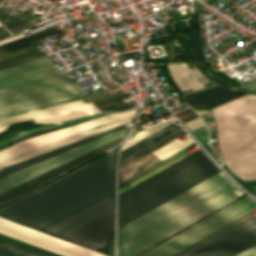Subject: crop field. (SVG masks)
<instances>
[{
	"mask_svg": "<svg viewBox=\"0 0 256 256\" xmlns=\"http://www.w3.org/2000/svg\"><path fill=\"white\" fill-rule=\"evenodd\" d=\"M115 154L0 208V215L43 231L115 194Z\"/></svg>",
	"mask_w": 256,
	"mask_h": 256,
	"instance_id": "crop-field-1",
	"label": "crop field"
},
{
	"mask_svg": "<svg viewBox=\"0 0 256 256\" xmlns=\"http://www.w3.org/2000/svg\"><path fill=\"white\" fill-rule=\"evenodd\" d=\"M243 195L220 172L118 229V256H136Z\"/></svg>",
	"mask_w": 256,
	"mask_h": 256,
	"instance_id": "crop-field-2",
	"label": "crop field"
},
{
	"mask_svg": "<svg viewBox=\"0 0 256 256\" xmlns=\"http://www.w3.org/2000/svg\"><path fill=\"white\" fill-rule=\"evenodd\" d=\"M220 172L199 149L119 194L118 228Z\"/></svg>",
	"mask_w": 256,
	"mask_h": 256,
	"instance_id": "crop-field-3",
	"label": "crop field"
},
{
	"mask_svg": "<svg viewBox=\"0 0 256 256\" xmlns=\"http://www.w3.org/2000/svg\"><path fill=\"white\" fill-rule=\"evenodd\" d=\"M83 95L45 56L0 71V115Z\"/></svg>",
	"mask_w": 256,
	"mask_h": 256,
	"instance_id": "crop-field-4",
	"label": "crop field"
},
{
	"mask_svg": "<svg viewBox=\"0 0 256 256\" xmlns=\"http://www.w3.org/2000/svg\"><path fill=\"white\" fill-rule=\"evenodd\" d=\"M211 112L225 164L241 179H255L256 96L241 97Z\"/></svg>",
	"mask_w": 256,
	"mask_h": 256,
	"instance_id": "crop-field-5",
	"label": "crop field"
},
{
	"mask_svg": "<svg viewBox=\"0 0 256 256\" xmlns=\"http://www.w3.org/2000/svg\"><path fill=\"white\" fill-rule=\"evenodd\" d=\"M255 208L246 196L140 256H170Z\"/></svg>",
	"mask_w": 256,
	"mask_h": 256,
	"instance_id": "crop-field-6",
	"label": "crop field"
},
{
	"mask_svg": "<svg viewBox=\"0 0 256 256\" xmlns=\"http://www.w3.org/2000/svg\"><path fill=\"white\" fill-rule=\"evenodd\" d=\"M0 233L63 256H104L0 218Z\"/></svg>",
	"mask_w": 256,
	"mask_h": 256,
	"instance_id": "crop-field-7",
	"label": "crop field"
},
{
	"mask_svg": "<svg viewBox=\"0 0 256 256\" xmlns=\"http://www.w3.org/2000/svg\"><path fill=\"white\" fill-rule=\"evenodd\" d=\"M135 111L136 109L122 113H114L94 120H89L82 124L70 126L64 129H60L48 134H44L32 139L19 142L12 147L0 150V161L18 155L20 153L32 150L34 148L49 144L51 142L63 139L65 137L77 134L82 131L132 117Z\"/></svg>",
	"mask_w": 256,
	"mask_h": 256,
	"instance_id": "crop-field-8",
	"label": "crop field"
},
{
	"mask_svg": "<svg viewBox=\"0 0 256 256\" xmlns=\"http://www.w3.org/2000/svg\"><path fill=\"white\" fill-rule=\"evenodd\" d=\"M126 130L127 129L122 130L117 133H114L112 135H109V136L99 139L97 141L91 142V143L81 146L79 148L73 149L71 151L63 153L56 157L50 158L48 160H45L43 162H40L33 166H30V167L23 169L21 171H18L16 173H12V174L8 175L7 177L3 178L2 180H0V193L6 191L16 185H19V184L39 175L47 170H50L66 161H69L81 154H84V153H86L94 148H97L109 141H112V140L122 136Z\"/></svg>",
	"mask_w": 256,
	"mask_h": 256,
	"instance_id": "crop-field-9",
	"label": "crop field"
},
{
	"mask_svg": "<svg viewBox=\"0 0 256 256\" xmlns=\"http://www.w3.org/2000/svg\"><path fill=\"white\" fill-rule=\"evenodd\" d=\"M256 243V218L188 256H234Z\"/></svg>",
	"mask_w": 256,
	"mask_h": 256,
	"instance_id": "crop-field-10",
	"label": "crop field"
},
{
	"mask_svg": "<svg viewBox=\"0 0 256 256\" xmlns=\"http://www.w3.org/2000/svg\"><path fill=\"white\" fill-rule=\"evenodd\" d=\"M115 209L61 236L72 243L96 250L114 241Z\"/></svg>",
	"mask_w": 256,
	"mask_h": 256,
	"instance_id": "crop-field-11",
	"label": "crop field"
},
{
	"mask_svg": "<svg viewBox=\"0 0 256 256\" xmlns=\"http://www.w3.org/2000/svg\"><path fill=\"white\" fill-rule=\"evenodd\" d=\"M183 134L185 133L180 128L172 132L171 134L163 137L162 139L154 142L153 144L147 146L146 148L138 151L137 153L129 156L128 158L120 161L118 184L124 182L132 176L161 161L151 152Z\"/></svg>",
	"mask_w": 256,
	"mask_h": 256,
	"instance_id": "crop-field-12",
	"label": "crop field"
},
{
	"mask_svg": "<svg viewBox=\"0 0 256 256\" xmlns=\"http://www.w3.org/2000/svg\"><path fill=\"white\" fill-rule=\"evenodd\" d=\"M121 138L122 137L0 194V203L20 196V195L32 190L33 188L39 186L40 184L44 183L45 181L57 176L58 174L68 170L69 168L77 165L78 163L118 144V142L120 141Z\"/></svg>",
	"mask_w": 256,
	"mask_h": 256,
	"instance_id": "crop-field-13",
	"label": "crop field"
},
{
	"mask_svg": "<svg viewBox=\"0 0 256 256\" xmlns=\"http://www.w3.org/2000/svg\"><path fill=\"white\" fill-rule=\"evenodd\" d=\"M113 208H115V195L91 206L90 208L43 232L59 237Z\"/></svg>",
	"mask_w": 256,
	"mask_h": 256,
	"instance_id": "crop-field-14",
	"label": "crop field"
},
{
	"mask_svg": "<svg viewBox=\"0 0 256 256\" xmlns=\"http://www.w3.org/2000/svg\"><path fill=\"white\" fill-rule=\"evenodd\" d=\"M122 129H125L124 125L118 126V127H116V128L107 130V131H105V132H102V133L93 135V136H91V137L82 139V140H80V141L71 143V144H69V145H66V146L57 148V149H55V150L46 152V153H44V154L35 156V157H33V158H30V159H27V160H24V161H21V162H19V163L10 165V166H8V167H5V168H3V169L0 170V179H2L3 177L7 176L8 174H10V173H12V172H14V171H17V170H19V169L25 168V167H27V166H30V165L35 164V163H37V162L43 161V160L48 159V158H50V157H53V156H55V155L61 154V153H63V152H66V151L71 150V149H73V148H76V147H78V146L84 145V144L89 143V142H91V141H94V140H96V139H99V138H102V137L107 136V135H109V134H112V133H114V132L120 131V130H122Z\"/></svg>",
	"mask_w": 256,
	"mask_h": 256,
	"instance_id": "crop-field-15",
	"label": "crop field"
},
{
	"mask_svg": "<svg viewBox=\"0 0 256 256\" xmlns=\"http://www.w3.org/2000/svg\"><path fill=\"white\" fill-rule=\"evenodd\" d=\"M97 112H99V111L94 106V104L89 102L86 104H82V105H78V106H74V107H70V108H66V109H62V110H57V111H53V112H49V113H45V114H41V115H36V116L12 121L6 125L1 126L0 132L5 130L9 125H11L13 123L32 119V118H34L36 123H51V122H56V121L65 120V119H69V118L93 114V113H97Z\"/></svg>",
	"mask_w": 256,
	"mask_h": 256,
	"instance_id": "crop-field-16",
	"label": "crop field"
},
{
	"mask_svg": "<svg viewBox=\"0 0 256 256\" xmlns=\"http://www.w3.org/2000/svg\"><path fill=\"white\" fill-rule=\"evenodd\" d=\"M168 66L172 78L182 91L206 88L204 85L209 83L197 68H194L195 71L192 72L193 69L188 70L187 64H168Z\"/></svg>",
	"mask_w": 256,
	"mask_h": 256,
	"instance_id": "crop-field-17",
	"label": "crop field"
},
{
	"mask_svg": "<svg viewBox=\"0 0 256 256\" xmlns=\"http://www.w3.org/2000/svg\"><path fill=\"white\" fill-rule=\"evenodd\" d=\"M131 119H132V118H129V119L122 120V121H119V122H116V123H112V124H109V125H106V126H102V127L96 128V129H92V130H90V131H87V132H84V133L75 135V136H73V137H70V138H67V139H64V140H61V141L52 143V144H50V145H47V146H44V147H41V148L32 150V151H30V152H27V153H24V154H21V155H18V156L9 158V159H7V160L1 161V162H0V169L3 168V167H5V166H8V165H10V164L19 162V161L24 160V159H27V158H30V157H32V156H35V155L44 153V152H46V151L55 149V148H57V147L66 145V144H68V143H71V142L77 141V140H79V139L88 137V136H90V135H93V134L102 132V131H104V130L113 128V127H115V126L124 124V123H126V122L131 121Z\"/></svg>",
	"mask_w": 256,
	"mask_h": 256,
	"instance_id": "crop-field-18",
	"label": "crop field"
},
{
	"mask_svg": "<svg viewBox=\"0 0 256 256\" xmlns=\"http://www.w3.org/2000/svg\"><path fill=\"white\" fill-rule=\"evenodd\" d=\"M234 97H236L234 91L216 87L188 96H184V99L192 104L205 107V105H218Z\"/></svg>",
	"mask_w": 256,
	"mask_h": 256,
	"instance_id": "crop-field-19",
	"label": "crop field"
},
{
	"mask_svg": "<svg viewBox=\"0 0 256 256\" xmlns=\"http://www.w3.org/2000/svg\"><path fill=\"white\" fill-rule=\"evenodd\" d=\"M254 217H256V215L250 212V213L244 215L243 217H241V218L235 220L234 222H232V223L226 225L225 227H223V228L217 230L216 232H214V233L208 235L207 237L201 239L200 241H198V242L192 244L191 246H189V247L183 249L182 251H180V252L174 254L173 256H186V255H188L189 253H191V252L197 250L198 248H200V247L206 245L207 243H209V242L215 240L216 238H218V237L224 235L225 233L231 231L232 229H234V228L240 226L241 224H243V223L249 221L250 219H252V218H254Z\"/></svg>",
	"mask_w": 256,
	"mask_h": 256,
	"instance_id": "crop-field-20",
	"label": "crop field"
},
{
	"mask_svg": "<svg viewBox=\"0 0 256 256\" xmlns=\"http://www.w3.org/2000/svg\"><path fill=\"white\" fill-rule=\"evenodd\" d=\"M55 32H57V30L52 29L50 27L46 30L32 34L30 36L23 37V38L14 40L12 42L0 45V55H4V54L10 53V52L31 46L32 44L30 41L41 38L43 36H46V35H49L52 33H55Z\"/></svg>",
	"mask_w": 256,
	"mask_h": 256,
	"instance_id": "crop-field-21",
	"label": "crop field"
},
{
	"mask_svg": "<svg viewBox=\"0 0 256 256\" xmlns=\"http://www.w3.org/2000/svg\"><path fill=\"white\" fill-rule=\"evenodd\" d=\"M0 243H3L8 246L20 249L22 251L34 254L36 256H60L58 254L46 251L44 249L35 247L33 245L21 242L19 240L10 238V237L2 235V234H0Z\"/></svg>",
	"mask_w": 256,
	"mask_h": 256,
	"instance_id": "crop-field-22",
	"label": "crop field"
},
{
	"mask_svg": "<svg viewBox=\"0 0 256 256\" xmlns=\"http://www.w3.org/2000/svg\"><path fill=\"white\" fill-rule=\"evenodd\" d=\"M192 143L194 142L188 136L182 142L177 139L152 153L162 160Z\"/></svg>",
	"mask_w": 256,
	"mask_h": 256,
	"instance_id": "crop-field-23",
	"label": "crop field"
},
{
	"mask_svg": "<svg viewBox=\"0 0 256 256\" xmlns=\"http://www.w3.org/2000/svg\"><path fill=\"white\" fill-rule=\"evenodd\" d=\"M172 120H174V119H171V120L166 121V122H164V123H161V124L152 126V127H150V128L144 129V130H142V131H140V132L138 131V132L128 141V139H129V138L132 136V134L136 131V129L133 128L132 131L130 132L129 136H128L127 139H126V141H125V143H124V145H123V147H122V150L125 149V148H127V147H129L130 145H132V144L138 142L139 140L145 138L146 136H148V135L154 133L155 131H157V130L163 128L164 126H166V125L172 123Z\"/></svg>",
	"mask_w": 256,
	"mask_h": 256,
	"instance_id": "crop-field-24",
	"label": "crop field"
},
{
	"mask_svg": "<svg viewBox=\"0 0 256 256\" xmlns=\"http://www.w3.org/2000/svg\"><path fill=\"white\" fill-rule=\"evenodd\" d=\"M102 114H106V113H99V114H95V115H91V116H87V117H82V118H78V119H74V120H70V121L61 122L62 124H60V125L50 124V125H45V126L37 127V128L31 129V130H26V131H23V132L17 134L16 136H14L12 138H8V139H5V140L1 141L0 145L4 144V143H7V142H10V141H13L15 139H18L20 137H23V136H25V135H27L29 133L34 132V131L48 129V128H54V127H59V126H63V125H67V124H71V123H75V122H79V121L85 120L87 118L99 116V115H102Z\"/></svg>",
	"mask_w": 256,
	"mask_h": 256,
	"instance_id": "crop-field-25",
	"label": "crop field"
},
{
	"mask_svg": "<svg viewBox=\"0 0 256 256\" xmlns=\"http://www.w3.org/2000/svg\"><path fill=\"white\" fill-rule=\"evenodd\" d=\"M186 155H188V153H187V152H185V153H183V154L179 155L178 157H176V158H174V159L170 160L169 162H167V163H165V164L161 165L160 167H158V168L154 169L153 171H151V172H149V173L145 174L144 176H142V177L138 178L137 180L133 181L132 183H130V184L126 185L125 187H123V188L119 189V193H121V192L125 191L126 189H128V188L132 187L133 185H135V184H137V183L141 182L142 180H144V179L148 178L149 176H151V175L155 174L156 172H158V171L162 170L163 168H165V167L169 166L170 164H172V163L176 162L177 160H179V159H181V158L185 157Z\"/></svg>",
	"mask_w": 256,
	"mask_h": 256,
	"instance_id": "crop-field-26",
	"label": "crop field"
},
{
	"mask_svg": "<svg viewBox=\"0 0 256 256\" xmlns=\"http://www.w3.org/2000/svg\"><path fill=\"white\" fill-rule=\"evenodd\" d=\"M82 103H83V101L80 100V101H76V102H72V103H68V104H64V105H60V106H56V107H52V108H48V109H44V110H40V111H36V112H32V113H28V114L16 116V117H12V118H9L7 120H4V121L0 122V126L3 125V124H6V123H8L12 120H16V119L36 115V114H41V113H45V112H49V111H53V110H57V109H62V108H66V107H70V106H74V105H78V104H82Z\"/></svg>",
	"mask_w": 256,
	"mask_h": 256,
	"instance_id": "crop-field-27",
	"label": "crop field"
},
{
	"mask_svg": "<svg viewBox=\"0 0 256 256\" xmlns=\"http://www.w3.org/2000/svg\"><path fill=\"white\" fill-rule=\"evenodd\" d=\"M103 92H105V90L97 92V93L90 94L88 96H83V97H79V98H75V99H71V100H67V101H63V102H58V103H54V104L38 107V108H35V109H31V110H27V111H23V112H19V113L5 115V116L0 117V121H2L4 119H7L9 117H12V116H16V115H20V114H24V113H28V112H32V111H36V110H40V109H44V108H48V107H52V106H56V105H60V104L68 103V102H72V101H76V100H80V99H83V98H86V97H90V96L101 94Z\"/></svg>",
	"mask_w": 256,
	"mask_h": 256,
	"instance_id": "crop-field-28",
	"label": "crop field"
},
{
	"mask_svg": "<svg viewBox=\"0 0 256 256\" xmlns=\"http://www.w3.org/2000/svg\"><path fill=\"white\" fill-rule=\"evenodd\" d=\"M194 146H196V145H195V143H194V144H192V145H190V146H188V147H186L185 149H183V150H181V151L177 152L176 154H174V155L170 156L169 158H167V159H165V160L161 161L160 163H158V164H156V165L152 166L151 168H149V169H147V170L143 171L142 173H140V174L136 175L135 177H133V178H131V179L127 180L126 182H124V183H122V184L118 185V188H120V187H122V186L126 185L127 183H129V182H131V181L135 180L136 178H138V177H140V176L144 175L145 173H147V172L151 171L152 169H154V168L158 167L159 165H161V164L165 163L166 161L170 160L171 158H173V157L177 156L178 154H180V153H182V152H184V151H187L188 149H190V148H192V147H194Z\"/></svg>",
	"mask_w": 256,
	"mask_h": 256,
	"instance_id": "crop-field-29",
	"label": "crop field"
},
{
	"mask_svg": "<svg viewBox=\"0 0 256 256\" xmlns=\"http://www.w3.org/2000/svg\"><path fill=\"white\" fill-rule=\"evenodd\" d=\"M178 128H180V127L176 125V126L170 128V129H168L167 131L161 133L160 135H158V136L152 138L151 140L145 142L144 144H142V145L136 147L135 149L129 151L128 153H126V154L120 156V160L123 159V158H125V157H127V156H129L130 154H132V153L138 151L139 149H141V148H143V147L149 145L150 143H152V142H154V141L160 139L161 137H163V136L169 134L170 132H172V131H174V130H176V129H178Z\"/></svg>",
	"mask_w": 256,
	"mask_h": 256,
	"instance_id": "crop-field-30",
	"label": "crop field"
},
{
	"mask_svg": "<svg viewBox=\"0 0 256 256\" xmlns=\"http://www.w3.org/2000/svg\"><path fill=\"white\" fill-rule=\"evenodd\" d=\"M174 125H175V124H173V123H172V124H170V125H168V126L164 127L163 129H161V130H159V131L155 132L154 134H152V135L148 136L147 138H145V139H143V140L139 141L138 143H136V144H134V145L130 146L129 148H127V149H125V150L121 151V154H120V155H122V154H124V153L128 152L129 150H131V149L135 148L136 146H138V145H140V144L144 143L145 141H147V140L151 139L152 137H154V136H156V135L160 134L161 132H163V131L167 130L168 128H170V127H172V126H174Z\"/></svg>",
	"mask_w": 256,
	"mask_h": 256,
	"instance_id": "crop-field-31",
	"label": "crop field"
},
{
	"mask_svg": "<svg viewBox=\"0 0 256 256\" xmlns=\"http://www.w3.org/2000/svg\"><path fill=\"white\" fill-rule=\"evenodd\" d=\"M40 56H43V55L41 53H39V54L32 55V56H29V57H26V58H23V59H20V60H16V61H13V62H10V63H7V64H3V65H0V69H4V68H7V67H10V66H13V65H16V64H19V63H22V62L40 57Z\"/></svg>",
	"mask_w": 256,
	"mask_h": 256,
	"instance_id": "crop-field-32",
	"label": "crop field"
},
{
	"mask_svg": "<svg viewBox=\"0 0 256 256\" xmlns=\"http://www.w3.org/2000/svg\"><path fill=\"white\" fill-rule=\"evenodd\" d=\"M0 249H2V250H4V251H7V252H10V253H13V254H16V255H18V256H34V255H31V254L22 252V251H20V250H17V249L8 247V246L3 245V244H0Z\"/></svg>",
	"mask_w": 256,
	"mask_h": 256,
	"instance_id": "crop-field-33",
	"label": "crop field"
},
{
	"mask_svg": "<svg viewBox=\"0 0 256 256\" xmlns=\"http://www.w3.org/2000/svg\"><path fill=\"white\" fill-rule=\"evenodd\" d=\"M185 125H186L190 130H192V129H195V128H197V127L203 126L204 124H203L202 120L200 119V117H198V118H196V119H194V120H191V121L185 123Z\"/></svg>",
	"mask_w": 256,
	"mask_h": 256,
	"instance_id": "crop-field-34",
	"label": "crop field"
},
{
	"mask_svg": "<svg viewBox=\"0 0 256 256\" xmlns=\"http://www.w3.org/2000/svg\"><path fill=\"white\" fill-rule=\"evenodd\" d=\"M236 256H256V244Z\"/></svg>",
	"mask_w": 256,
	"mask_h": 256,
	"instance_id": "crop-field-35",
	"label": "crop field"
},
{
	"mask_svg": "<svg viewBox=\"0 0 256 256\" xmlns=\"http://www.w3.org/2000/svg\"><path fill=\"white\" fill-rule=\"evenodd\" d=\"M192 133L194 134V136L196 138H198V137H200L202 135L207 134L208 131L206 130L205 126H203V127L198 128V129L192 130Z\"/></svg>",
	"mask_w": 256,
	"mask_h": 256,
	"instance_id": "crop-field-36",
	"label": "crop field"
},
{
	"mask_svg": "<svg viewBox=\"0 0 256 256\" xmlns=\"http://www.w3.org/2000/svg\"><path fill=\"white\" fill-rule=\"evenodd\" d=\"M248 188L252 194L256 196V180L247 181Z\"/></svg>",
	"mask_w": 256,
	"mask_h": 256,
	"instance_id": "crop-field-37",
	"label": "crop field"
},
{
	"mask_svg": "<svg viewBox=\"0 0 256 256\" xmlns=\"http://www.w3.org/2000/svg\"><path fill=\"white\" fill-rule=\"evenodd\" d=\"M242 87L248 89V90H252L256 92V80L249 82L247 84L241 85Z\"/></svg>",
	"mask_w": 256,
	"mask_h": 256,
	"instance_id": "crop-field-38",
	"label": "crop field"
},
{
	"mask_svg": "<svg viewBox=\"0 0 256 256\" xmlns=\"http://www.w3.org/2000/svg\"><path fill=\"white\" fill-rule=\"evenodd\" d=\"M26 26H28V27L32 26L31 22L28 21V22H26V23H23V24H21V25H18V26L14 27V28L9 29V31L12 32V31L18 30V29L23 28V27H26Z\"/></svg>",
	"mask_w": 256,
	"mask_h": 256,
	"instance_id": "crop-field-39",
	"label": "crop field"
},
{
	"mask_svg": "<svg viewBox=\"0 0 256 256\" xmlns=\"http://www.w3.org/2000/svg\"><path fill=\"white\" fill-rule=\"evenodd\" d=\"M194 115H196V114L193 112V110H191V111H189V112L179 116V118L181 119V121H183V120H185L187 118H190V117H192Z\"/></svg>",
	"mask_w": 256,
	"mask_h": 256,
	"instance_id": "crop-field-40",
	"label": "crop field"
},
{
	"mask_svg": "<svg viewBox=\"0 0 256 256\" xmlns=\"http://www.w3.org/2000/svg\"><path fill=\"white\" fill-rule=\"evenodd\" d=\"M198 140H199L203 145L208 144V134L205 135V136H203V137L198 138Z\"/></svg>",
	"mask_w": 256,
	"mask_h": 256,
	"instance_id": "crop-field-41",
	"label": "crop field"
},
{
	"mask_svg": "<svg viewBox=\"0 0 256 256\" xmlns=\"http://www.w3.org/2000/svg\"><path fill=\"white\" fill-rule=\"evenodd\" d=\"M22 36H23V35L20 34V35L14 36V37H12V38H9V39L0 41V44L5 43V42H8V41H11V40H14V39L19 38V37H22Z\"/></svg>",
	"mask_w": 256,
	"mask_h": 256,
	"instance_id": "crop-field-42",
	"label": "crop field"
},
{
	"mask_svg": "<svg viewBox=\"0 0 256 256\" xmlns=\"http://www.w3.org/2000/svg\"><path fill=\"white\" fill-rule=\"evenodd\" d=\"M20 23H22V20H20V21H18V22H15V23H12V24H10V25H7V26H5L7 29H9V28H11V27H13V26H16V25H18V24H20Z\"/></svg>",
	"mask_w": 256,
	"mask_h": 256,
	"instance_id": "crop-field-43",
	"label": "crop field"
},
{
	"mask_svg": "<svg viewBox=\"0 0 256 256\" xmlns=\"http://www.w3.org/2000/svg\"><path fill=\"white\" fill-rule=\"evenodd\" d=\"M0 256H16V255H13V254H10V253L0 250Z\"/></svg>",
	"mask_w": 256,
	"mask_h": 256,
	"instance_id": "crop-field-44",
	"label": "crop field"
},
{
	"mask_svg": "<svg viewBox=\"0 0 256 256\" xmlns=\"http://www.w3.org/2000/svg\"><path fill=\"white\" fill-rule=\"evenodd\" d=\"M2 30H5V28H3L2 26H0V31H2Z\"/></svg>",
	"mask_w": 256,
	"mask_h": 256,
	"instance_id": "crop-field-45",
	"label": "crop field"
}]
</instances>
